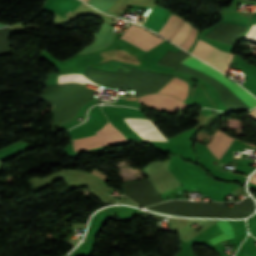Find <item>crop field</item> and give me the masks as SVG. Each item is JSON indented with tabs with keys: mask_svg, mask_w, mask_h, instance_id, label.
I'll list each match as a JSON object with an SVG mask.
<instances>
[{
	"mask_svg": "<svg viewBox=\"0 0 256 256\" xmlns=\"http://www.w3.org/2000/svg\"><path fill=\"white\" fill-rule=\"evenodd\" d=\"M183 21H184L183 19H181V18H179V17H177V16H175L171 13V15L166 20V22L164 23V25L162 26V28L159 30L158 33L161 34L163 37L170 40L180 30V28L183 24ZM191 27L192 26L189 23L184 22L183 27L181 28V30L170 41L179 45L181 42L184 41V39L187 36ZM196 35H197V29L192 27L190 33L188 34V36L186 38V40L182 44H180L179 46L188 50L189 47L192 45Z\"/></svg>",
	"mask_w": 256,
	"mask_h": 256,
	"instance_id": "1",
	"label": "crop field"
},
{
	"mask_svg": "<svg viewBox=\"0 0 256 256\" xmlns=\"http://www.w3.org/2000/svg\"><path fill=\"white\" fill-rule=\"evenodd\" d=\"M96 133L97 135L94 136L74 140V151L77 152L126 140V138L116 130L110 122H108L103 129L96 131Z\"/></svg>",
	"mask_w": 256,
	"mask_h": 256,
	"instance_id": "2",
	"label": "crop field"
},
{
	"mask_svg": "<svg viewBox=\"0 0 256 256\" xmlns=\"http://www.w3.org/2000/svg\"><path fill=\"white\" fill-rule=\"evenodd\" d=\"M211 47V45L199 40L192 51V54L204 60ZM231 55L232 54L221 52L212 47L204 61L208 62L219 70L224 71L231 59Z\"/></svg>",
	"mask_w": 256,
	"mask_h": 256,
	"instance_id": "3",
	"label": "crop field"
},
{
	"mask_svg": "<svg viewBox=\"0 0 256 256\" xmlns=\"http://www.w3.org/2000/svg\"><path fill=\"white\" fill-rule=\"evenodd\" d=\"M139 102L171 113L175 112L179 108L187 107V105L179 99L162 94L142 96L140 97Z\"/></svg>",
	"mask_w": 256,
	"mask_h": 256,
	"instance_id": "4",
	"label": "crop field"
},
{
	"mask_svg": "<svg viewBox=\"0 0 256 256\" xmlns=\"http://www.w3.org/2000/svg\"><path fill=\"white\" fill-rule=\"evenodd\" d=\"M122 39L139 46L145 51L162 41L153 36L148 31L138 28L134 25L130 26V28L123 35Z\"/></svg>",
	"mask_w": 256,
	"mask_h": 256,
	"instance_id": "5",
	"label": "crop field"
},
{
	"mask_svg": "<svg viewBox=\"0 0 256 256\" xmlns=\"http://www.w3.org/2000/svg\"><path fill=\"white\" fill-rule=\"evenodd\" d=\"M128 126L144 139L163 140L167 139L161 134L156 126L148 119L124 118Z\"/></svg>",
	"mask_w": 256,
	"mask_h": 256,
	"instance_id": "6",
	"label": "crop field"
},
{
	"mask_svg": "<svg viewBox=\"0 0 256 256\" xmlns=\"http://www.w3.org/2000/svg\"><path fill=\"white\" fill-rule=\"evenodd\" d=\"M182 63L208 73L209 75H211L213 78H215L217 81H219L226 87L235 84V83H232L229 79L227 80L224 74L220 73L219 71L215 70L209 65L203 63L202 61L192 57L191 55L187 59H185Z\"/></svg>",
	"mask_w": 256,
	"mask_h": 256,
	"instance_id": "7",
	"label": "crop field"
},
{
	"mask_svg": "<svg viewBox=\"0 0 256 256\" xmlns=\"http://www.w3.org/2000/svg\"><path fill=\"white\" fill-rule=\"evenodd\" d=\"M188 85L177 78H173L158 93H168L179 97L182 101L186 98Z\"/></svg>",
	"mask_w": 256,
	"mask_h": 256,
	"instance_id": "8",
	"label": "crop field"
},
{
	"mask_svg": "<svg viewBox=\"0 0 256 256\" xmlns=\"http://www.w3.org/2000/svg\"><path fill=\"white\" fill-rule=\"evenodd\" d=\"M237 99L248 109L256 106V99L238 84L228 87Z\"/></svg>",
	"mask_w": 256,
	"mask_h": 256,
	"instance_id": "9",
	"label": "crop field"
},
{
	"mask_svg": "<svg viewBox=\"0 0 256 256\" xmlns=\"http://www.w3.org/2000/svg\"><path fill=\"white\" fill-rule=\"evenodd\" d=\"M216 223L218 224V226L222 229V231L224 233L208 240L209 242H211L213 245H215L221 241H224V240L234 237L232 227L229 225V223L227 221H218Z\"/></svg>",
	"mask_w": 256,
	"mask_h": 256,
	"instance_id": "10",
	"label": "crop field"
},
{
	"mask_svg": "<svg viewBox=\"0 0 256 256\" xmlns=\"http://www.w3.org/2000/svg\"><path fill=\"white\" fill-rule=\"evenodd\" d=\"M68 82H78V83H85V84L97 86V84L92 83L90 80L86 79L81 74H70V75L59 76V84L68 83Z\"/></svg>",
	"mask_w": 256,
	"mask_h": 256,
	"instance_id": "11",
	"label": "crop field"
},
{
	"mask_svg": "<svg viewBox=\"0 0 256 256\" xmlns=\"http://www.w3.org/2000/svg\"><path fill=\"white\" fill-rule=\"evenodd\" d=\"M245 40H249L252 42H256V25H253L247 35L244 38Z\"/></svg>",
	"mask_w": 256,
	"mask_h": 256,
	"instance_id": "12",
	"label": "crop field"
},
{
	"mask_svg": "<svg viewBox=\"0 0 256 256\" xmlns=\"http://www.w3.org/2000/svg\"><path fill=\"white\" fill-rule=\"evenodd\" d=\"M248 117L256 120V109H254L253 111H251L249 114H247Z\"/></svg>",
	"mask_w": 256,
	"mask_h": 256,
	"instance_id": "13",
	"label": "crop field"
},
{
	"mask_svg": "<svg viewBox=\"0 0 256 256\" xmlns=\"http://www.w3.org/2000/svg\"><path fill=\"white\" fill-rule=\"evenodd\" d=\"M251 182L256 183V174L252 177Z\"/></svg>",
	"mask_w": 256,
	"mask_h": 256,
	"instance_id": "14",
	"label": "crop field"
},
{
	"mask_svg": "<svg viewBox=\"0 0 256 256\" xmlns=\"http://www.w3.org/2000/svg\"><path fill=\"white\" fill-rule=\"evenodd\" d=\"M83 1H85V2H86L87 0H83Z\"/></svg>",
	"mask_w": 256,
	"mask_h": 256,
	"instance_id": "15",
	"label": "crop field"
},
{
	"mask_svg": "<svg viewBox=\"0 0 256 256\" xmlns=\"http://www.w3.org/2000/svg\"><path fill=\"white\" fill-rule=\"evenodd\" d=\"M70 13H71V12H70ZM70 13H68V15H69Z\"/></svg>",
	"mask_w": 256,
	"mask_h": 256,
	"instance_id": "16",
	"label": "crop field"
}]
</instances>
